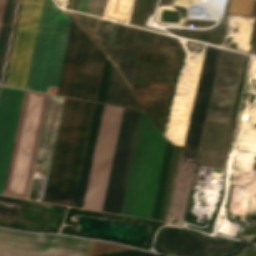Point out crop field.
I'll use <instances>...</instances> for the list:
<instances>
[{
	"instance_id": "crop-field-25",
	"label": "crop field",
	"mask_w": 256,
	"mask_h": 256,
	"mask_svg": "<svg viewBox=\"0 0 256 256\" xmlns=\"http://www.w3.org/2000/svg\"><path fill=\"white\" fill-rule=\"evenodd\" d=\"M105 0H91L89 14L100 16L102 15Z\"/></svg>"
},
{
	"instance_id": "crop-field-8",
	"label": "crop field",
	"mask_w": 256,
	"mask_h": 256,
	"mask_svg": "<svg viewBox=\"0 0 256 256\" xmlns=\"http://www.w3.org/2000/svg\"><path fill=\"white\" fill-rule=\"evenodd\" d=\"M21 2L2 84L5 83ZM43 0H23L5 85L24 89Z\"/></svg>"
},
{
	"instance_id": "crop-field-28",
	"label": "crop field",
	"mask_w": 256,
	"mask_h": 256,
	"mask_svg": "<svg viewBox=\"0 0 256 256\" xmlns=\"http://www.w3.org/2000/svg\"><path fill=\"white\" fill-rule=\"evenodd\" d=\"M4 2H5V0H0V22H1V17H2V12H3Z\"/></svg>"
},
{
	"instance_id": "crop-field-16",
	"label": "crop field",
	"mask_w": 256,
	"mask_h": 256,
	"mask_svg": "<svg viewBox=\"0 0 256 256\" xmlns=\"http://www.w3.org/2000/svg\"><path fill=\"white\" fill-rule=\"evenodd\" d=\"M103 105H95L84 162L74 206L82 208Z\"/></svg>"
},
{
	"instance_id": "crop-field-20",
	"label": "crop field",
	"mask_w": 256,
	"mask_h": 256,
	"mask_svg": "<svg viewBox=\"0 0 256 256\" xmlns=\"http://www.w3.org/2000/svg\"><path fill=\"white\" fill-rule=\"evenodd\" d=\"M255 0H231L228 13L251 15Z\"/></svg>"
},
{
	"instance_id": "crop-field-3",
	"label": "crop field",
	"mask_w": 256,
	"mask_h": 256,
	"mask_svg": "<svg viewBox=\"0 0 256 256\" xmlns=\"http://www.w3.org/2000/svg\"><path fill=\"white\" fill-rule=\"evenodd\" d=\"M94 104L66 98L44 201L73 206Z\"/></svg>"
},
{
	"instance_id": "crop-field-12",
	"label": "crop field",
	"mask_w": 256,
	"mask_h": 256,
	"mask_svg": "<svg viewBox=\"0 0 256 256\" xmlns=\"http://www.w3.org/2000/svg\"><path fill=\"white\" fill-rule=\"evenodd\" d=\"M220 51V48L207 47L182 156L197 155Z\"/></svg>"
},
{
	"instance_id": "crop-field-2",
	"label": "crop field",
	"mask_w": 256,
	"mask_h": 256,
	"mask_svg": "<svg viewBox=\"0 0 256 256\" xmlns=\"http://www.w3.org/2000/svg\"><path fill=\"white\" fill-rule=\"evenodd\" d=\"M166 139L142 113L121 214L149 219ZM174 147L166 143L150 219L160 220Z\"/></svg>"
},
{
	"instance_id": "crop-field-1",
	"label": "crop field",
	"mask_w": 256,
	"mask_h": 256,
	"mask_svg": "<svg viewBox=\"0 0 256 256\" xmlns=\"http://www.w3.org/2000/svg\"><path fill=\"white\" fill-rule=\"evenodd\" d=\"M64 100L25 91L3 194L27 198L32 173L48 174Z\"/></svg>"
},
{
	"instance_id": "crop-field-6",
	"label": "crop field",
	"mask_w": 256,
	"mask_h": 256,
	"mask_svg": "<svg viewBox=\"0 0 256 256\" xmlns=\"http://www.w3.org/2000/svg\"><path fill=\"white\" fill-rule=\"evenodd\" d=\"M108 57L112 34L97 31L100 18L65 10ZM143 29L117 24L112 37L109 59L131 88Z\"/></svg>"
},
{
	"instance_id": "crop-field-7",
	"label": "crop field",
	"mask_w": 256,
	"mask_h": 256,
	"mask_svg": "<svg viewBox=\"0 0 256 256\" xmlns=\"http://www.w3.org/2000/svg\"><path fill=\"white\" fill-rule=\"evenodd\" d=\"M122 110L104 105L83 208L102 209Z\"/></svg>"
},
{
	"instance_id": "crop-field-9",
	"label": "crop field",
	"mask_w": 256,
	"mask_h": 256,
	"mask_svg": "<svg viewBox=\"0 0 256 256\" xmlns=\"http://www.w3.org/2000/svg\"><path fill=\"white\" fill-rule=\"evenodd\" d=\"M142 111L123 110L102 211L120 214Z\"/></svg>"
},
{
	"instance_id": "crop-field-18",
	"label": "crop field",
	"mask_w": 256,
	"mask_h": 256,
	"mask_svg": "<svg viewBox=\"0 0 256 256\" xmlns=\"http://www.w3.org/2000/svg\"><path fill=\"white\" fill-rule=\"evenodd\" d=\"M79 28L72 23L57 94L65 96Z\"/></svg>"
},
{
	"instance_id": "crop-field-30",
	"label": "crop field",
	"mask_w": 256,
	"mask_h": 256,
	"mask_svg": "<svg viewBox=\"0 0 256 256\" xmlns=\"http://www.w3.org/2000/svg\"><path fill=\"white\" fill-rule=\"evenodd\" d=\"M133 108L140 109L139 106L136 104V102L134 103V107Z\"/></svg>"
},
{
	"instance_id": "crop-field-19",
	"label": "crop field",
	"mask_w": 256,
	"mask_h": 256,
	"mask_svg": "<svg viewBox=\"0 0 256 256\" xmlns=\"http://www.w3.org/2000/svg\"><path fill=\"white\" fill-rule=\"evenodd\" d=\"M23 200L0 196V217L15 219Z\"/></svg>"
},
{
	"instance_id": "crop-field-5",
	"label": "crop field",
	"mask_w": 256,
	"mask_h": 256,
	"mask_svg": "<svg viewBox=\"0 0 256 256\" xmlns=\"http://www.w3.org/2000/svg\"><path fill=\"white\" fill-rule=\"evenodd\" d=\"M72 20L44 0L25 89L56 94Z\"/></svg>"
},
{
	"instance_id": "crop-field-13",
	"label": "crop field",
	"mask_w": 256,
	"mask_h": 256,
	"mask_svg": "<svg viewBox=\"0 0 256 256\" xmlns=\"http://www.w3.org/2000/svg\"><path fill=\"white\" fill-rule=\"evenodd\" d=\"M234 243L218 237L208 238L191 230L165 228L160 234L158 245L188 256H212L231 249Z\"/></svg>"
},
{
	"instance_id": "crop-field-4",
	"label": "crop field",
	"mask_w": 256,
	"mask_h": 256,
	"mask_svg": "<svg viewBox=\"0 0 256 256\" xmlns=\"http://www.w3.org/2000/svg\"><path fill=\"white\" fill-rule=\"evenodd\" d=\"M246 55L222 49L196 162L221 163Z\"/></svg>"
},
{
	"instance_id": "crop-field-31",
	"label": "crop field",
	"mask_w": 256,
	"mask_h": 256,
	"mask_svg": "<svg viewBox=\"0 0 256 256\" xmlns=\"http://www.w3.org/2000/svg\"><path fill=\"white\" fill-rule=\"evenodd\" d=\"M73 4H74V0H73V3H72V7H71V9L73 8Z\"/></svg>"
},
{
	"instance_id": "crop-field-17",
	"label": "crop field",
	"mask_w": 256,
	"mask_h": 256,
	"mask_svg": "<svg viewBox=\"0 0 256 256\" xmlns=\"http://www.w3.org/2000/svg\"><path fill=\"white\" fill-rule=\"evenodd\" d=\"M133 102L134 100L122 79L112 68L105 103L132 108Z\"/></svg>"
},
{
	"instance_id": "crop-field-24",
	"label": "crop field",
	"mask_w": 256,
	"mask_h": 256,
	"mask_svg": "<svg viewBox=\"0 0 256 256\" xmlns=\"http://www.w3.org/2000/svg\"><path fill=\"white\" fill-rule=\"evenodd\" d=\"M16 3H17V0H14L12 12H11V17H10V22H9V27H8V32H7V37H6V42H5V47H4V52H3V57H2L1 66H0V82H1L2 72H3V67H4V62H5L8 42H9V37H10V33H11V28H12V23H13Z\"/></svg>"
},
{
	"instance_id": "crop-field-11",
	"label": "crop field",
	"mask_w": 256,
	"mask_h": 256,
	"mask_svg": "<svg viewBox=\"0 0 256 256\" xmlns=\"http://www.w3.org/2000/svg\"><path fill=\"white\" fill-rule=\"evenodd\" d=\"M103 59L80 30L66 96L95 101Z\"/></svg>"
},
{
	"instance_id": "crop-field-22",
	"label": "crop field",
	"mask_w": 256,
	"mask_h": 256,
	"mask_svg": "<svg viewBox=\"0 0 256 256\" xmlns=\"http://www.w3.org/2000/svg\"><path fill=\"white\" fill-rule=\"evenodd\" d=\"M12 3H13V0H6L5 2L3 17H2L1 27H0V61L2 57Z\"/></svg>"
},
{
	"instance_id": "crop-field-23",
	"label": "crop field",
	"mask_w": 256,
	"mask_h": 256,
	"mask_svg": "<svg viewBox=\"0 0 256 256\" xmlns=\"http://www.w3.org/2000/svg\"><path fill=\"white\" fill-rule=\"evenodd\" d=\"M110 69H111V65L105 58L104 64H103V69H102V74H101V79H100V84H99V89H98V94H97V99H96V101H98V102L104 103V101H105Z\"/></svg>"
},
{
	"instance_id": "crop-field-29",
	"label": "crop field",
	"mask_w": 256,
	"mask_h": 256,
	"mask_svg": "<svg viewBox=\"0 0 256 256\" xmlns=\"http://www.w3.org/2000/svg\"><path fill=\"white\" fill-rule=\"evenodd\" d=\"M254 41H256V35H255V39H254ZM253 54H255V55H256V44H255V48H254V52H253Z\"/></svg>"
},
{
	"instance_id": "crop-field-26",
	"label": "crop field",
	"mask_w": 256,
	"mask_h": 256,
	"mask_svg": "<svg viewBox=\"0 0 256 256\" xmlns=\"http://www.w3.org/2000/svg\"><path fill=\"white\" fill-rule=\"evenodd\" d=\"M236 256H256V247L255 246L245 247L243 251Z\"/></svg>"
},
{
	"instance_id": "crop-field-14",
	"label": "crop field",
	"mask_w": 256,
	"mask_h": 256,
	"mask_svg": "<svg viewBox=\"0 0 256 256\" xmlns=\"http://www.w3.org/2000/svg\"><path fill=\"white\" fill-rule=\"evenodd\" d=\"M24 91L2 86L0 94V194L3 192Z\"/></svg>"
},
{
	"instance_id": "crop-field-15",
	"label": "crop field",
	"mask_w": 256,
	"mask_h": 256,
	"mask_svg": "<svg viewBox=\"0 0 256 256\" xmlns=\"http://www.w3.org/2000/svg\"><path fill=\"white\" fill-rule=\"evenodd\" d=\"M196 158L182 157L167 222L181 225Z\"/></svg>"
},
{
	"instance_id": "crop-field-27",
	"label": "crop field",
	"mask_w": 256,
	"mask_h": 256,
	"mask_svg": "<svg viewBox=\"0 0 256 256\" xmlns=\"http://www.w3.org/2000/svg\"><path fill=\"white\" fill-rule=\"evenodd\" d=\"M90 0H79L77 11L87 13Z\"/></svg>"
},
{
	"instance_id": "crop-field-10",
	"label": "crop field",
	"mask_w": 256,
	"mask_h": 256,
	"mask_svg": "<svg viewBox=\"0 0 256 256\" xmlns=\"http://www.w3.org/2000/svg\"><path fill=\"white\" fill-rule=\"evenodd\" d=\"M91 241L45 234L0 229V246L17 249L51 251L84 256ZM0 247V256H69L51 252L16 250Z\"/></svg>"
},
{
	"instance_id": "crop-field-21",
	"label": "crop field",
	"mask_w": 256,
	"mask_h": 256,
	"mask_svg": "<svg viewBox=\"0 0 256 256\" xmlns=\"http://www.w3.org/2000/svg\"><path fill=\"white\" fill-rule=\"evenodd\" d=\"M117 250H132L119 245L106 244L93 241L86 256H96L98 254L117 251Z\"/></svg>"
}]
</instances>
